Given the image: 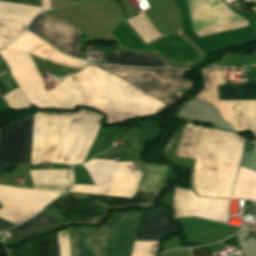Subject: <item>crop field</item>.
<instances>
[{
	"label": "crop field",
	"instance_id": "crop-field-1",
	"mask_svg": "<svg viewBox=\"0 0 256 256\" xmlns=\"http://www.w3.org/2000/svg\"><path fill=\"white\" fill-rule=\"evenodd\" d=\"M103 117L80 108L77 113L37 112L0 127V164H33L48 161L82 163Z\"/></svg>",
	"mask_w": 256,
	"mask_h": 256
},
{
	"label": "crop field",
	"instance_id": "crop-field-2",
	"mask_svg": "<svg viewBox=\"0 0 256 256\" xmlns=\"http://www.w3.org/2000/svg\"><path fill=\"white\" fill-rule=\"evenodd\" d=\"M139 215L112 213L103 226L68 229L71 256H130Z\"/></svg>",
	"mask_w": 256,
	"mask_h": 256
},
{
	"label": "crop field",
	"instance_id": "crop-field-3",
	"mask_svg": "<svg viewBox=\"0 0 256 256\" xmlns=\"http://www.w3.org/2000/svg\"><path fill=\"white\" fill-rule=\"evenodd\" d=\"M155 194L156 193L136 192L131 199H126L67 192L64 195L57 198L56 200H54L52 203H50L42 211L50 214L51 216L55 217L56 219L62 222L79 220L96 221L105 214L108 207L124 204H148ZM158 195L159 193L156 194V196L151 200V202L148 205H125L113 207L109 208L106 214L96 222H79L98 223L107 216L110 209L114 208L126 206L150 207V205L153 203V201L156 199ZM79 222H70L65 224Z\"/></svg>",
	"mask_w": 256,
	"mask_h": 256
},
{
	"label": "crop field",
	"instance_id": "crop-field-4",
	"mask_svg": "<svg viewBox=\"0 0 256 256\" xmlns=\"http://www.w3.org/2000/svg\"><path fill=\"white\" fill-rule=\"evenodd\" d=\"M99 67L127 81L146 94L163 101L168 106L174 105L180 100L181 97L177 94L183 87L190 89L194 86L193 82L181 80L184 72L181 69H138L122 66Z\"/></svg>",
	"mask_w": 256,
	"mask_h": 256
},
{
	"label": "crop field",
	"instance_id": "crop-field-5",
	"mask_svg": "<svg viewBox=\"0 0 256 256\" xmlns=\"http://www.w3.org/2000/svg\"><path fill=\"white\" fill-rule=\"evenodd\" d=\"M62 193L0 185V218L19 224L33 216Z\"/></svg>",
	"mask_w": 256,
	"mask_h": 256
},
{
	"label": "crop field",
	"instance_id": "crop-field-6",
	"mask_svg": "<svg viewBox=\"0 0 256 256\" xmlns=\"http://www.w3.org/2000/svg\"><path fill=\"white\" fill-rule=\"evenodd\" d=\"M217 100L256 101V79L243 85L218 86ZM229 122L237 132L250 130L256 139V102L228 101Z\"/></svg>",
	"mask_w": 256,
	"mask_h": 256
},
{
	"label": "crop field",
	"instance_id": "crop-field-7",
	"mask_svg": "<svg viewBox=\"0 0 256 256\" xmlns=\"http://www.w3.org/2000/svg\"><path fill=\"white\" fill-rule=\"evenodd\" d=\"M174 217L198 216L227 224L229 199L197 197L189 191H173L172 205Z\"/></svg>",
	"mask_w": 256,
	"mask_h": 256
},
{
	"label": "crop field",
	"instance_id": "crop-field-8",
	"mask_svg": "<svg viewBox=\"0 0 256 256\" xmlns=\"http://www.w3.org/2000/svg\"><path fill=\"white\" fill-rule=\"evenodd\" d=\"M28 29L52 46L78 57L82 33L74 27L41 13Z\"/></svg>",
	"mask_w": 256,
	"mask_h": 256
},
{
	"label": "crop field",
	"instance_id": "crop-field-9",
	"mask_svg": "<svg viewBox=\"0 0 256 256\" xmlns=\"http://www.w3.org/2000/svg\"><path fill=\"white\" fill-rule=\"evenodd\" d=\"M179 230L169 221L166 207L141 212L135 240L160 241Z\"/></svg>",
	"mask_w": 256,
	"mask_h": 256
},
{
	"label": "crop field",
	"instance_id": "crop-field-10",
	"mask_svg": "<svg viewBox=\"0 0 256 256\" xmlns=\"http://www.w3.org/2000/svg\"><path fill=\"white\" fill-rule=\"evenodd\" d=\"M9 256H59L57 235L34 239L25 246L11 251Z\"/></svg>",
	"mask_w": 256,
	"mask_h": 256
},
{
	"label": "crop field",
	"instance_id": "crop-field-11",
	"mask_svg": "<svg viewBox=\"0 0 256 256\" xmlns=\"http://www.w3.org/2000/svg\"><path fill=\"white\" fill-rule=\"evenodd\" d=\"M105 63L124 64V65H137V66H170V64L158 59L151 54H133L122 53L118 51H109L104 57Z\"/></svg>",
	"mask_w": 256,
	"mask_h": 256
},
{
	"label": "crop field",
	"instance_id": "crop-field-12",
	"mask_svg": "<svg viewBox=\"0 0 256 256\" xmlns=\"http://www.w3.org/2000/svg\"><path fill=\"white\" fill-rule=\"evenodd\" d=\"M58 223L53 218L47 216L43 212H40L34 218L29 221L10 229V232L13 236L9 237L10 242L17 241L19 239L25 238L52 226H55Z\"/></svg>",
	"mask_w": 256,
	"mask_h": 256
},
{
	"label": "crop field",
	"instance_id": "crop-field-13",
	"mask_svg": "<svg viewBox=\"0 0 256 256\" xmlns=\"http://www.w3.org/2000/svg\"><path fill=\"white\" fill-rule=\"evenodd\" d=\"M34 184L72 183L71 170H29Z\"/></svg>",
	"mask_w": 256,
	"mask_h": 256
},
{
	"label": "crop field",
	"instance_id": "crop-field-14",
	"mask_svg": "<svg viewBox=\"0 0 256 256\" xmlns=\"http://www.w3.org/2000/svg\"><path fill=\"white\" fill-rule=\"evenodd\" d=\"M219 66H233V67H243L251 64H256V51L247 56H237L228 54L223 56L218 62Z\"/></svg>",
	"mask_w": 256,
	"mask_h": 256
},
{
	"label": "crop field",
	"instance_id": "crop-field-15",
	"mask_svg": "<svg viewBox=\"0 0 256 256\" xmlns=\"http://www.w3.org/2000/svg\"><path fill=\"white\" fill-rule=\"evenodd\" d=\"M60 256H70L68 236H58Z\"/></svg>",
	"mask_w": 256,
	"mask_h": 256
},
{
	"label": "crop field",
	"instance_id": "crop-field-16",
	"mask_svg": "<svg viewBox=\"0 0 256 256\" xmlns=\"http://www.w3.org/2000/svg\"><path fill=\"white\" fill-rule=\"evenodd\" d=\"M11 223V222H10ZM0 219V231L14 227L15 225L10 224Z\"/></svg>",
	"mask_w": 256,
	"mask_h": 256
},
{
	"label": "crop field",
	"instance_id": "crop-field-17",
	"mask_svg": "<svg viewBox=\"0 0 256 256\" xmlns=\"http://www.w3.org/2000/svg\"><path fill=\"white\" fill-rule=\"evenodd\" d=\"M193 256H207L204 252L201 250H192Z\"/></svg>",
	"mask_w": 256,
	"mask_h": 256
},
{
	"label": "crop field",
	"instance_id": "crop-field-18",
	"mask_svg": "<svg viewBox=\"0 0 256 256\" xmlns=\"http://www.w3.org/2000/svg\"><path fill=\"white\" fill-rule=\"evenodd\" d=\"M11 1H20V2H29V3L41 4L40 0H11Z\"/></svg>",
	"mask_w": 256,
	"mask_h": 256
},
{
	"label": "crop field",
	"instance_id": "crop-field-19",
	"mask_svg": "<svg viewBox=\"0 0 256 256\" xmlns=\"http://www.w3.org/2000/svg\"><path fill=\"white\" fill-rule=\"evenodd\" d=\"M6 168H7L6 166L0 165V177L5 175Z\"/></svg>",
	"mask_w": 256,
	"mask_h": 256
},
{
	"label": "crop field",
	"instance_id": "crop-field-20",
	"mask_svg": "<svg viewBox=\"0 0 256 256\" xmlns=\"http://www.w3.org/2000/svg\"><path fill=\"white\" fill-rule=\"evenodd\" d=\"M78 1H81V0H74V3H75V2H78Z\"/></svg>",
	"mask_w": 256,
	"mask_h": 256
}]
</instances>
